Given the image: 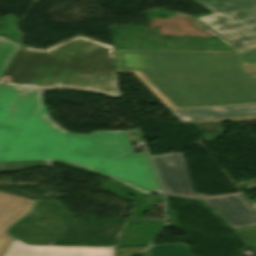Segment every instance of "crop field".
Segmentation results:
<instances>
[{"label": "crop field", "mask_w": 256, "mask_h": 256, "mask_svg": "<svg viewBox=\"0 0 256 256\" xmlns=\"http://www.w3.org/2000/svg\"><path fill=\"white\" fill-rule=\"evenodd\" d=\"M43 91L0 85V171L61 164L162 194L147 154H133L132 131H64L45 111Z\"/></svg>", "instance_id": "obj_1"}, {"label": "crop field", "mask_w": 256, "mask_h": 256, "mask_svg": "<svg viewBox=\"0 0 256 256\" xmlns=\"http://www.w3.org/2000/svg\"><path fill=\"white\" fill-rule=\"evenodd\" d=\"M118 73H134L168 109L256 103V48L237 52L115 50Z\"/></svg>", "instance_id": "obj_2"}, {"label": "crop field", "mask_w": 256, "mask_h": 256, "mask_svg": "<svg viewBox=\"0 0 256 256\" xmlns=\"http://www.w3.org/2000/svg\"><path fill=\"white\" fill-rule=\"evenodd\" d=\"M111 45L80 35L45 50L18 46L0 84L54 91H96L120 96Z\"/></svg>", "instance_id": "obj_3"}, {"label": "crop field", "mask_w": 256, "mask_h": 256, "mask_svg": "<svg viewBox=\"0 0 256 256\" xmlns=\"http://www.w3.org/2000/svg\"><path fill=\"white\" fill-rule=\"evenodd\" d=\"M151 157L166 195L201 200L233 228L256 225V213L240 193L207 197L195 196L181 153Z\"/></svg>", "instance_id": "obj_4"}, {"label": "crop field", "mask_w": 256, "mask_h": 256, "mask_svg": "<svg viewBox=\"0 0 256 256\" xmlns=\"http://www.w3.org/2000/svg\"><path fill=\"white\" fill-rule=\"evenodd\" d=\"M193 1L211 12L196 20L238 50L256 47V0Z\"/></svg>", "instance_id": "obj_5"}, {"label": "crop field", "mask_w": 256, "mask_h": 256, "mask_svg": "<svg viewBox=\"0 0 256 256\" xmlns=\"http://www.w3.org/2000/svg\"><path fill=\"white\" fill-rule=\"evenodd\" d=\"M180 122H234L256 120V105L171 111Z\"/></svg>", "instance_id": "obj_6"}, {"label": "crop field", "mask_w": 256, "mask_h": 256, "mask_svg": "<svg viewBox=\"0 0 256 256\" xmlns=\"http://www.w3.org/2000/svg\"><path fill=\"white\" fill-rule=\"evenodd\" d=\"M111 248L28 246L14 239L4 256H112Z\"/></svg>", "instance_id": "obj_7"}, {"label": "crop field", "mask_w": 256, "mask_h": 256, "mask_svg": "<svg viewBox=\"0 0 256 256\" xmlns=\"http://www.w3.org/2000/svg\"><path fill=\"white\" fill-rule=\"evenodd\" d=\"M33 203L34 200L0 192V256L13 239L5 229L29 212Z\"/></svg>", "instance_id": "obj_8"}, {"label": "crop field", "mask_w": 256, "mask_h": 256, "mask_svg": "<svg viewBox=\"0 0 256 256\" xmlns=\"http://www.w3.org/2000/svg\"><path fill=\"white\" fill-rule=\"evenodd\" d=\"M151 256H192L186 244L150 246Z\"/></svg>", "instance_id": "obj_9"}, {"label": "crop field", "mask_w": 256, "mask_h": 256, "mask_svg": "<svg viewBox=\"0 0 256 256\" xmlns=\"http://www.w3.org/2000/svg\"><path fill=\"white\" fill-rule=\"evenodd\" d=\"M16 46L17 43L0 36V74Z\"/></svg>", "instance_id": "obj_10"}, {"label": "crop field", "mask_w": 256, "mask_h": 256, "mask_svg": "<svg viewBox=\"0 0 256 256\" xmlns=\"http://www.w3.org/2000/svg\"><path fill=\"white\" fill-rule=\"evenodd\" d=\"M251 247L256 250V226L237 229Z\"/></svg>", "instance_id": "obj_11"}, {"label": "crop field", "mask_w": 256, "mask_h": 256, "mask_svg": "<svg viewBox=\"0 0 256 256\" xmlns=\"http://www.w3.org/2000/svg\"><path fill=\"white\" fill-rule=\"evenodd\" d=\"M256 82V74H248Z\"/></svg>", "instance_id": "obj_12"}, {"label": "crop field", "mask_w": 256, "mask_h": 256, "mask_svg": "<svg viewBox=\"0 0 256 256\" xmlns=\"http://www.w3.org/2000/svg\"><path fill=\"white\" fill-rule=\"evenodd\" d=\"M256 208V207H255Z\"/></svg>", "instance_id": "obj_13"}]
</instances>
